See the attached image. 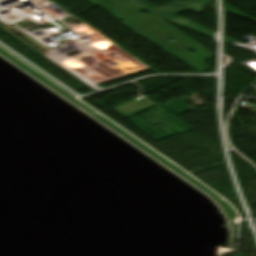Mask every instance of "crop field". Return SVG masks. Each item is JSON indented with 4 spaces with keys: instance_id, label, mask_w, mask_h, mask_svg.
Instances as JSON below:
<instances>
[{
    "instance_id": "crop-field-1",
    "label": "crop field",
    "mask_w": 256,
    "mask_h": 256,
    "mask_svg": "<svg viewBox=\"0 0 256 256\" xmlns=\"http://www.w3.org/2000/svg\"><path fill=\"white\" fill-rule=\"evenodd\" d=\"M99 7L117 19H122L123 21L120 23L133 30L137 35L160 46L196 71L201 72L209 69L202 61L209 59L213 53L134 0H124ZM142 8L147 10L149 14H141ZM169 39H174L175 42L167 41ZM189 49L195 52L189 53L187 51Z\"/></svg>"
},
{
    "instance_id": "crop-field-2",
    "label": "crop field",
    "mask_w": 256,
    "mask_h": 256,
    "mask_svg": "<svg viewBox=\"0 0 256 256\" xmlns=\"http://www.w3.org/2000/svg\"><path fill=\"white\" fill-rule=\"evenodd\" d=\"M187 10H190V9L178 1L173 4H169V5H166L163 7L156 8V9L152 10V12H154L161 18L165 19L167 17H170L172 15H175V14L187 11Z\"/></svg>"
},
{
    "instance_id": "crop-field-3",
    "label": "crop field",
    "mask_w": 256,
    "mask_h": 256,
    "mask_svg": "<svg viewBox=\"0 0 256 256\" xmlns=\"http://www.w3.org/2000/svg\"><path fill=\"white\" fill-rule=\"evenodd\" d=\"M183 4L191 8L197 13L203 12L206 5L209 3V0H187L181 1Z\"/></svg>"
},
{
    "instance_id": "crop-field-4",
    "label": "crop field",
    "mask_w": 256,
    "mask_h": 256,
    "mask_svg": "<svg viewBox=\"0 0 256 256\" xmlns=\"http://www.w3.org/2000/svg\"><path fill=\"white\" fill-rule=\"evenodd\" d=\"M88 1H90L92 4L96 5V4L113 1V0H88Z\"/></svg>"
},
{
    "instance_id": "crop-field-5",
    "label": "crop field",
    "mask_w": 256,
    "mask_h": 256,
    "mask_svg": "<svg viewBox=\"0 0 256 256\" xmlns=\"http://www.w3.org/2000/svg\"><path fill=\"white\" fill-rule=\"evenodd\" d=\"M138 2H143V1H145V0H137Z\"/></svg>"
}]
</instances>
